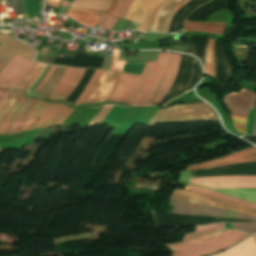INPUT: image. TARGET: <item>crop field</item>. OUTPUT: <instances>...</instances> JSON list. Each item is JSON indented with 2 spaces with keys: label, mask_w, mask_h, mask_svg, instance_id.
Segmentation results:
<instances>
[{
  "label": "crop field",
  "mask_w": 256,
  "mask_h": 256,
  "mask_svg": "<svg viewBox=\"0 0 256 256\" xmlns=\"http://www.w3.org/2000/svg\"><path fill=\"white\" fill-rule=\"evenodd\" d=\"M181 55L160 53L156 62H147L141 76L122 74L107 100L127 101L129 105L160 103L169 91Z\"/></svg>",
  "instance_id": "8a807250"
},
{
  "label": "crop field",
  "mask_w": 256,
  "mask_h": 256,
  "mask_svg": "<svg viewBox=\"0 0 256 256\" xmlns=\"http://www.w3.org/2000/svg\"><path fill=\"white\" fill-rule=\"evenodd\" d=\"M191 180V171H183L180 173L179 182L189 184ZM191 183L199 185H219V186H255L256 176H214L193 178ZM192 185V184H190ZM198 186V185H194ZM219 186H198L248 201L256 203V188L255 187H219Z\"/></svg>",
  "instance_id": "ac0d7876"
},
{
  "label": "crop field",
  "mask_w": 256,
  "mask_h": 256,
  "mask_svg": "<svg viewBox=\"0 0 256 256\" xmlns=\"http://www.w3.org/2000/svg\"><path fill=\"white\" fill-rule=\"evenodd\" d=\"M67 107L60 103L50 104L31 99L11 127L8 135L17 133L26 118L28 119L26 122L24 121L25 124L20 131L28 130L39 117L40 119L36 121L32 129L52 125Z\"/></svg>",
  "instance_id": "34b2d1b8"
},
{
  "label": "crop field",
  "mask_w": 256,
  "mask_h": 256,
  "mask_svg": "<svg viewBox=\"0 0 256 256\" xmlns=\"http://www.w3.org/2000/svg\"><path fill=\"white\" fill-rule=\"evenodd\" d=\"M201 120H219L215 111L206 103L171 106L160 109L148 124L155 127L157 124L166 122H187Z\"/></svg>",
  "instance_id": "412701ff"
},
{
  "label": "crop field",
  "mask_w": 256,
  "mask_h": 256,
  "mask_svg": "<svg viewBox=\"0 0 256 256\" xmlns=\"http://www.w3.org/2000/svg\"><path fill=\"white\" fill-rule=\"evenodd\" d=\"M170 204L174 206L171 213L174 214H190V215H204L215 216L223 218H235L252 220V222H231L233 226L239 230L253 232L256 230V217L239 213L232 210H223L203 205L182 202L171 199Z\"/></svg>",
  "instance_id": "f4fd0767"
},
{
  "label": "crop field",
  "mask_w": 256,
  "mask_h": 256,
  "mask_svg": "<svg viewBox=\"0 0 256 256\" xmlns=\"http://www.w3.org/2000/svg\"><path fill=\"white\" fill-rule=\"evenodd\" d=\"M35 62L15 54L0 72V106L9 92L17 87L27 76Z\"/></svg>",
  "instance_id": "dd49c442"
},
{
  "label": "crop field",
  "mask_w": 256,
  "mask_h": 256,
  "mask_svg": "<svg viewBox=\"0 0 256 256\" xmlns=\"http://www.w3.org/2000/svg\"><path fill=\"white\" fill-rule=\"evenodd\" d=\"M247 235L248 233L225 229L222 235L196 246L174 252L173 256H200L202 254L218 251L234 244Z\"/></svg>",
  "instance_id": "e52e79f7"
},
{
  "label": "crop field",
  "mask_w": 256,
  "mask_h": 256,
  "mask_svg": "<svg viewBox=\"0 0 256 256\" xmlns=\"http://www.w3.org/2000/svg\"><path fill=\"white\" fill-rule=\"evenodd\" d=\"M171 198L174 199H181V200H187L203 205H209L213 207H219V208H224V209H232L236 210L239 212L251 214L256 216V210L246 208L240 205H236L227 201H223L217 198L201 195V194H196L192 192H187L179 189H175L173 194L171 195Z\"/></svg>",
  "instance_id": "d8731c3e"
},
{
  "label": "crop field",
  "mask_w": 256,
  "mask_h": 256,
  "mask_svg": "<svg viewBox=\"0 0 256 256\" xmlns=\"http://www.w3.org/2000/svg\"><path fill=\"white\" fill-rule=\"evenodd\" d=\"M164 0H135L124 19L140 23L136 30H147L155 9Z\"/></svg>",
  "instance_id": "5a996713"
},
{
  "label": "crop field",
  "mask_w": 256,
  "mask_h": 256,
  "mask_svg": "<svg viewBox=\"0 0 256 256\" xmlns=\"http://www.w3.org/2000/svg\"><path fill=\"white\" fill-rule=\"evenodd\" d=\"M85 69L67 67L61 81L49 96L50 100H65L80 81Z\"/></svg>",
  "instance_id": "3316defc"
},
{
  "label": "crop field",
  "mask_w": 256,
  "mask_h": 256,
  "mask_svg": "<svg viewBox=\"0 0 256 256\" xmlns=\"http://www.w3.org/2000/svg\"><path fill=\"white\" fill-rule=\"evenodd\" d=\"M120 76V73L104 71V73L98 80L92 94L85 101V103H95L107 99V97L115 87L117 81L119 80Z\"/></svg>",
  "instance_id": "28ad6ade"
},
{
  "label": "crop field",
  "mask_w": 256,
  "mask_h": 256,
  "mask_svg": "<svg viewBox=\"0 0 256 256\" xmlns=\"http://www.w3.org/2000/svg\"><path fill=\"white\" fill-rule=\"evenodd\" d=\"M45 65L36 63L30 74L27 76V78L13 91H11L8 99L5 101V103L0 108V123L4 116L7 114V112L10 110V108L13 106V104L16 102L18 97L26 91L32 83L37 79L40 72L44 68Z\"/></svg>",
  "instance_id": "d1516ede"
},
{
  "label": "crop field",
  "mask_w": 256,
  "mask_h": 256,
  "mask_svg": "<svg viewBox=\"0 0 256 256\" xmlns=\"http://www.w3.org/2000/svg\"><path fill=\"white\" fill-rule=\"evenodd\" d=\"M256 161V148L253 147L251 149L238 152L235 154H232L227 157H223L220 159L212 160L209 162L197 164L191 167H188L187 170H195V169H201V168H209V167H217V166H224L232 163H241V162H251Z\"/></svg>",
  "instance_id": "22f410ed"
},
{
  "label": "crop field",
  "mask_w": 256,
  "mask_h": 256,
  "mask_svg": "<svg viewBox=\"0 0 256 256\" xmlns=\"http://www.w3.org/2000/svg\"><path fill=\"white\" fill-rule=\"evenodd\" d=\"M216 256H256V242L252 236L239 245Z\"/></svg>",
  "instance_id": "cbeb9de0"
},
{
  "label": "crop field",
  "mask_w": 256,
  "mask_h": 256,
  "mask_svg": "<svg viewBox=\"0 0 256 256\" xmlns=\"http://www.w3.org/2000/svg\"><path fill=\"white\" fill-rule=\"evenodd\" d=\"M184 190H188V191H193V192H197V193H201V194H205V195H209V196H213V197H217L223 200H227L233 203H237L243 206H247L250 208H254L256 209V204L252 203V202H248L245 200H241L235 197H231L225 194H221L218 192H214V191H210V190H206V189H202V188H198V187H192V186H186Z\"/></svg>",
  "instance_id": "5142ce71"
},
{
  "label": "crop field",
  "mask_w": 256,
  "mask_h": 256,
  "mask_svg": "<svg viewBox=\"0 0 256 256\" xmlns=\"http://www.w3.org/2000/svg\"><path fill=\"white\" fill-rule=\"evenodd\" d=\"M226 23L186 22L184 31H203L221 34Z\"/></svg>",
  "instance_id": "d9b57169"
},
{
  "label": "crop field",
  "mask_w": 256,
  "mask_h": 256,
  "mask_svg": "<svg viewBox=\"0 0 256 256\" xmlns=\"http://www.w3.org/2000/svg\"><path fill=\"white\" fill-rule=\"evenodd\" d=\"M27 98L24 95V93L20 96V98L17 100L15 105L12 107V109L9 111V113L6 115V117L3 119L1 125H0V134H5L6 130L16 117V115L19 113L21 108L23 107L24 103L26 102Z\"/></svg>",
  "instance_id": "733c2abd"
},
{
  "label": "crop field",
  "mask_w": 256,
  "mask_h": 256,
  "mask_svg": "<svg viewBox=\"0 0 256 256\" xmlns=\"http://www.w3.org/2000/svg\"><path fill=\"white\" fill-rule=\"evenodd\" d=\"M252 95V91L242 89L238 94L233 92L231 94L226 95L224 98L238 106L249 109Z\"/></svg>",
  "instance_id": "4a817a6b"
},
{
  "label": "crop field",
  "mask_w": 256,
  "mask_h": 256,
  "mask_svg": "<svg viewBox=\"0 0 256 256\" xmlns=\"http://www.w3.org/2000/svg\"><path fill=\"white\" fill-rule=\"evenodd\" d=\"M112 0H74L70 6L107 11Z\"/></svg>",
  "instance_id": "bc2a9ffb"
},
{
  "label": "crop field",
  "mask_w": 256,
  "mask_h": 256,
  "mask_svg": "<svg viewBox=\"0 0 256 256\" xmlns=\"http://www.w3.org/2000/svg\"><path fill=\"white\" fill-rule=\"evenodd\" d=\"M14 38L11 35L0 34V60L10 49L26 45L23 41L20 43Z\"/></svg>",
  "instance_id": "214f88e0"
},
{
  "label": "crop field",
  "mask_w": 256,
  "mask_h": 256,
  "mask_svg": "<svg viewBox=\"0 0 256 256\" xmlns=\"http://www.w3.org/2000/svg\"><path fill=\"white\" fill-rule=\"evenodd\" d=\"M221 234V230L220 231H216L213 233H210L208 235H205L203 237H199V238H195V239H191L182 243H178V244H172V245H167L166 247H168L172 252L186 248V247H190L193 246L195 244L201 243L203 241H206L208 239H211L217 235Z\"/></svg>",
  "instance_id": "92a150f3"
},
{
  "label": "crop field",
  "mask_w": 256,
  "mask_h": 256,
  "mask_svg": "<svg viewBox=\"0 0 256 256\" xmlns=\"http://www.w3.org/2000/svg\"><path fill=\"white\" fill-rule=\"evenodd\" d=\"M66 16L74 18L75 20H77L79 23L83 25H88L92 27H94L95 23L99 18L98 15L81 13V12H73V11H68Z\"/></svg>",
  "instance_id": "dafd665d"
},
{
  "label": "crop field",
  "mask_w": 256,
  "mask_h": 256,
  "mask_svg": "<svg viewBox=\"0 0 256 256\" xmlns=\"http://www.w3.org/2000/svg\"><path fill=\"white\" fill-rule=\"evenodd\" d=\"M20 53L30 59H33L35 54H36V51L33 50L32 48L28 47V46H24V47H21V48H17V49H13V50H10L3 58L2 60L0 61V71L1 69L5 66V64L9 61V59L16 53Z\"/></svg>",
  "instance_id": "00972430"
},
{
  "label": "crop field",
  "mask_w": 256,
  "mask_h": 256,
  "mask_svg": "<svg viewBox=\"0 0 256 256\" xmlns=\"http://www.w3.org/2000/svg\"><path fill=\"white\" fill-rule=\"evenodd\" d=\"M223 223L213 224V225H203V226H196V231L189 233L184 236L182 241H185L187 239L206 234L212 231L220 230Z\"/></svg>",
  "instance_id": "a9b5d70f"
},
{
  "label": "crop field",
  "mask_w": 256,
  "mask_h": 256,
  "mask_svg": "<svg viewBox=\"0 0 256 256\" xmlns=\"http://www.w3.org/2000/svg\"><path fill=\"white\" fill-rule=\"evenodd\" d=\"M205 73L209 74L215 78L214 73V57H213V40L209 39V47L207 52L206 64H205Z\"/></svg>",
  "instance_id": "4177f3b9"
},
{
  "label": "crop field",
  "mask_w": 256,
  "mask_h": 256,
  "mask_svg": "<svg viewBox=\"0 0 256 256\" xmlns=\"http://www.w3.org/2000/svg\"><path fill=\"white\" fill-rule=\"evenodd\" d=\"M101 73H102V70H96L90 83L88 84V86L86 87V89L84 90V92L82 93V95L79 97V99L76 101L75 104H82L86 100V98L90 95V93H91L95 83L97 82L98 78L100 77Z\"/></svg>",
  "instance_id": "730fd06b"
},
{
  "label": "crop field",
  "mask_w": 256,
  "mask_h": 256,
  "mask_svg": "<svg viewBox=\"0 0 256 256\" xmlns=\"http://www.w3.org/2000/svg\"><path fill=\"white\" fill-rule=\"evenodd\" d=\"M146 62H126L122 72L140 75Z\"/></svg>",
  "instance_id": "eef30255"
},
{
  "label": "crop field",
  "mask_w": 256,
  "mask_h": 256,
  "mask_svg": "<svg viewBox=\"0 0 256 256\" xmlns=\"http://www.w3.org/2000/svg\"><path fill=\"white\" fill-rule=\"evenodd\" d=\"M23 2L28 18L36 16L40 13L38 8V0H23Z\"/></svg>",
  "instance_id": "ae1a2a85"
},
{
  "label": "crop field",
  "mask_w": 256,
  "mask_h": 256,
  "mask_svg": "<svg viewBox=\"0 0 256 256\" xmlns=\"http://www.w3.org/2000/svg\"><path fill=\"white\" fill-rule=\"evenodd\" d=\"M190 0H182L180 1L175 7H173L171 9V11L168 13L165 21H164V24H163V27H162V31L161 32H167L168 31V28H169V25H170V22H171V19H172V16L173 14L178 11L185 3L189 2ZM175 15V14H174Z\"/></svg>",
  "instance_id": "d3111659"
},
{
  "label": "crop field",
  "mask_w": 256,
  "mask_h": 256,
  "mask_svg": "<svg viewBox=\"0 0 256 256\" xmlns=\"http://www.w3.org/2000/svg\"><path fill=\"white\" fill-rule=\"evenodd\" d=\"M171 1H173V0H166L164 3H162V4L158 7V9L156 10V12H155V14H154V16H153V18H152V21H151L150 26H149V28H148L147 31L155 32L156 24H157V22H158V19H159V17H160L161 12L164 10V8H165Z\"/></svg>",
  "instance_id": "750c4746"
},
{
  "label": "crop field",
  "mask_w": 256,
  "mask_h": 256,
  "mask_svg": "<svg viewBox=\"0 0 256 256\" xmlns=\"http://www.w3.org/2000/svg\"><path fill=\"white\" fill-rule=\"evenodd\" d=\"M119 50L113 51V60L109 70L121 72L125 62L117 61Z\"/></svg>",
  "instance_id": "bd1437ed"
},
{
  "label": "crop field",
  "mask_w": 256,
  "mask_h": 256,
  "mask_svg": "<svg viewBox=\"0 0 256 256\" xmlns=\"http://www.w3.org/2000/svg\"><path fill=\"white\" fill-rule=\"evenodd\" d=\"M233 119L234 126L238 132L245 134V126L247 119L230 115Z\"/></svg>",
  "instance_id": "1d83c4d3"
},
{
  "label": "crop field",
  "mask_w": 256,
  "mask_h": 256,
  "mask_svg": "<svg viewBox=\"0 0 256 256\" xmlns=\"http://www.w3.org/2000/svg\"><path fill=\"white\" fill-rule=\"evenodd\" d=\"M179 1H180V0H175V1L171 2V3L166 7V9L162 12L161 17H160L159 22H158V26H157L156 32H160V31H161L162 23H163V20H164L165 16H166L167 13L169 12V10H170L176 3H178Z\"/></svg>",
  "instance_id": "120bbe31"
},
{
  "label": "crop field",
  "mask_w": 256,
  "mask_h": 256,
  "mask_svg": "<svg viewBox=\"0 0 256 256\" xmlns=\"http://www.w3.org/2000/svg\"><path fill=\"white\" fill-rule=\"evenodd\" d=\"M112 106L110 105H105L104 108L99 112V114L91 121V123L89 125H93L96 124L98 122H100L104 116L107 114V112L110 110Z\"/></svg>",
  "instance_id": "d32e631a"
},
{
  "label": "crop field",
  "mask_w": 256,
  "mask_h": 256,
  "mask_svg": "<svg viewBox=\"0 0 256 256\" xmlns=\"http://www.w3.org/2000/svg\"><path fill=\"white\" fill-rule=\"evenodd\" d=\"M171 34H153V33H145L141 39L143 40H157L161 39L167 36H170Z\"/></svg>",
  "instance_id": "5866460e"
},
{
  "label": "crop field",
  "mask_w": 256,
  "mask_h": 256,
  "mask_svg": "<svg viewBox=\"0 0 256 256\" xmlns=\"http://www.w3.org/2000/svg\"><path fill=\"white\" fill-rule=\"evenodd\" d=\"M73 109L67 108L65 112L57 119V121L53 125H61L64 120L73 112Z\"/></svg>",
  "instance_id": "028f5c9d"
},
{
  "label": "crop field",
  "mask_w": 256,
  "mask_h": 256,
  "mask_svg": "<svg viewBox=\"0 0 256 256\" xmlns=\"http://www.w3.org/2000/svg\"><path fill=\"white\" fill-rule=\"evenodd\" d=\"M55 66H51L50 70L48 71V73L46 74L45 78L40 82V84L36 87V91H39L40 88L45 84V82L47 81V79L50 77V75L52 74L53 70H54ZM49 80V79H48Z\"/></svg>",
  "instance_id": "e1f06a70"
},
{
  "label": "crop field",
  "mask_w": 256,
  "mask_h": 256,
  "mask_svg": "<svg viewBox=\"0 0 256 256\" xmlns=\"http://www.w3.org/2000/svg\"><path fill=\"white\" fill-rule=\"evenodd\" d=\"M69 9L76 10V11H82V12L93 13V14H98V15H103V16H105V14H106V12L95 11V10H87V9L72 8V7H69Z\"/></svg>",
  "instance_id": "0bd39190"
},
{
  "label": "crop field",
  "mask_w": 256,
  "mask_h": 256,
  "mask_svg": "<svg viewBox=\"0 0 256 256\" xmlns=\"http://www.w3.org/2000/svg\"><path fill=\"white\" fill-rule=\"evenodd\" d=\"M132 1H133V0H127V2L125 3V5H124V7H123V9H122V11H121V13H120V15H119L118 18H121V19L124 18L125 14H126V12H127V10H128V7H129V5H130V3H131Z\"/></svg>",
  "instance_id": "b80d0937"
},
{
  "label": "crop field",
  "mask_w": 256,
  "mask_h": 256,
  "mask_svg": "<svg viewBox=\"0 0 256 256\" xmlns=\"http://www.w3.org/2000/svg\"><path fill=\"white\" fill-rule=\"evenodd\" d=\"M117 2H118V0H113V2H112V4H111V6H110V8H109V10H108V12H107V14H106V16H108V17H111V16H112V13H113V11H114V9H115V7H116Z\"/></svg>",
  "instance_id": "c035e120"
},
{
  "label": "crop field",
  "mask_w": 256,
  "mask_h": 256,
  "mask_svg": "<svg viewBox=\"0 0 256 256\" xmlns=\"http://www.w3.org/2000/svg\"><path fill=\"white\" fill-rule=\"evenodd\" d=\"M125 1H126V0H119V2H118V4H117V7H116V9H115V11H117V13H116L115 16H112V17L117 18V16H118V14H119V12H120L122 6L124 5Z\"/></svg>",
  "instance_id": "c21b1889"
},
{
  "label": "crop field",
  "mask_w": 256,
  "mask_h": 256,
  "mask_svg": "<svg viewBox=\"0 0 256 256\" xmlns=\"http://www.w3.org/2000/svg\"><path fill=\"white\" fill-rule=\"evenodd\" d=\"M16 3H17L18 9H19L21 15L26 14L25 10L23 8L22 0H16Z\"/></svg>",
  "instance_id": "03da06ac"
},
{
  "label": "crop field",
  "mask_w": 256,
  "mask_h": 256,
  "mask_svg": "<svg viewBox=\"0 0 256 256\" xmlns=\"http://www.w3.org/2000/svg\"><path fill=\"white\" fill-rule=\"evenodd\" d=\"M46 2H50L49 6L59 7L60 0H47Z\"/></svg>",
  "instance_id": "b54c1fbb"
},
{
  "label": "crop field",
  "mask_w": 256,
  "mask_h": 256,
  "mask_svg": "<svg viewBox=\"0 0 256 256\" xmlns=\"http://www.w3.org/2000/svg\"><path fill=\"white\" fill-rule=\"evenodd\" d=\"M69 3H70V2H67V1H65V0H62L60 6L67 7V5H68Z\"/></svg>",
  "instance_id": "5d738f31"
},
{
  "label": "crop field",
  "mask_w": 256,
  "mask_h": 256,
  "mask_svg": "<svg viewBox=\"0 0 256 256\" xmlns=\"http://www.w3.org/2000/svg\"><path fill=\"white\" fill-rule=\"evenodd\" d=\"M0 2H8L7 0H0ZM1 4V3H0Z\"/></svg>",
  "instance_id": "d23c7cc5"
},
{
  "label": "crop field",
  "mask_w": 256,
  "mask_h": 256,
  "mask_svg": "<svg viewBox=\"0 0 256 256\" xmlns=\"http://www.w3.org/2000/svg\"><path fill=\"white\" fill-rule=\"evenodd\" d=\"M254 237H255V240H256V234H255V236H254Z\"/></svg>",
  "instance_id": "425ffa30"
}]
</instances>
